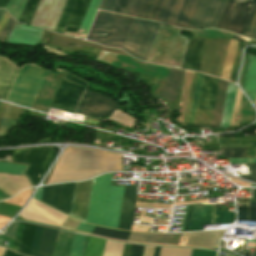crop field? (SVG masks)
I'll return each mask as SVG.
<instances>
[{
	"label": "crop field",
	"mask_w": 256,
	"mask_h": 256,
	"mask_svg": "<svg viewBox=\"0 0 256 256\" xmlns=\"http://www.w3.org/2000/svg\"><path fill=\"white\" fill-rule=\"evenodd\" d=\"M122 171L121 156L66 148L47 184Z\"/></svg>",
	"instance_id": "obj_1"
},
{
	"label": "crop field",
	"mask_w": 256,
	"mask_h": 256,
	"mask_svg": "<svg viewBox=\"0 0 256 256\" xmlns=\"http://www.w3.org/2000/svg\"><path fill=\"white\" fill-rule=\"evenodd\" d=\"M207 39L195 38L189 42L182 64L183 69L199 71ZM230 40H208L200 72L221 76Z\"/></svg>",
	"instance_id": "obj_2"
},
{
	"label": "crop field",
	"mask_w": 256,
	"mask_h": 256,
	"mask_svg": "<svg viewBox=\"0 0 256 256\" xmlns=\"http://www.w3.org/2000/svg\"><path fill=\"white\" fill-rule=\"evenodd\" d=\"M181 29L160 25L146 61L180 68L189 39Z\"/></svg>",
	"instance_id": "obj_3"
},
{
	"label": "crop field",
	"mask_w": 256,
	"mask_h": 256,
	"mask_svg": "<svg viewBox=\"0 0 256 256\" xmlns=\"http://www.w3.org/2000/svg\"><path fill=\"white\" fill-rule=\"evenodd\" d=\"M133 19L98 11L87 40L121 48Z\"/></svg>",
	"instance_id": "obj_4"
},
{
	"label": "crop field",
	"mask_w": 256,
	"mask_h": 256,
	"mask_svg": "<svg viewBox=\"0 0 256 256\" xmlns=\"http://www.w3.org/2000/svg\"><path fill=\"white\" fill-rule=\"evenodd\" d=\"M124 187H111L105 226L117 228ZM137 187H125L119 229L131 230Z\"/></svg>",
	"instance_id": "obj_5"
},
{
	"label": "crop field",
	"mask_w": 256,
	"mask_h": 256,
	"mask_svg": "<svg viewBox=\"0 0 256 256\" xmlns=\"http://www.w3.org/2000/svg\"><path fill=\"white\" fill-rule=\"evenodd\" d=\"M46 72V70L31 65L21 68L7 100L31 107Z\"/></svg>",
	"instance_id": "obj_6"
},
{
	"label": "crop field",
	"mask_w": 256,
	"mask_h": 256,
	"mask_svg": "<svg viewBox=\"0 0 256 256\" xmlns=\"http://www.w3.org/2000/svg\"><path fill=\"white\" fill-rule=\"evenodd\" d=\"M158 26L135 18L122 49L146 60Z\"/></svg>",
	"instance_id": "obj_7"
},
{
	"label": "crop field",
	"mask_w": 256,
	"mask_h": 256,
	"mask_svg": "<svg viewBox=\"0 0 256 256\" xmlns=\"http://www.w3.org/2000/svg\"><path fill=\"white\" fill-rule=\"evenodd\" d=\"M218 82H219L218 79L211 78L204 75L197 108L213 110ZM227 85H228L227 82L220 80L212 122H211V125H206V126L219 127ZM197 125H204V124H197ZM197 125H194V126H197Z\"/></svg>",
	"instance_id": "obj_8"
},
{
	"label": "crop field",
	"mask_w": 256,
	"mask_h": 256,
	"mask_svg": "<svg viewBox=\"0 0 256 256\" xmlns=\"http://www.w3.org/2000/svg\"><path fill=\"white\" fill-rule=\"evenodd\" d=\"M55 156L52 147H35L15 150L12 161L29 163L25 172L35 186Z\"/></svg>",
	"instance_id": "obj_9"
},
{
	"label": "crop field",
	"mask_w": 256,
	"mask_h": 256,
	"mask_svg": "<svg viewBox=\"0 0 256 256\" xmlns=\"http://www.w3.org/2000/svg\"><path fill=\"white\" fill-rule=\"evenodd\" d=\"M112 174L93 179L86 222L104 226Z\"/></svg>",
	"instance_id": "obj_10"
},
{
	"label": "crop field",
	"mask_w": 256,
	"mask_h": 256,
	"mask_svg": "<svg viewBox=\"0 0 256 256\" xmlns=\"http://www.w3.org/2000/svg\"><path fill=\"white\" fill-rule=\"evenodd\" d=\"M198 3L199 0H165L157 21L188 28Z\"/></svg>",
	"instance_id": "obj_11"
},
{
	"label": "crop field",
	"mask_w": 256,
	"mask_h": 256,
	"mask_svg": "<svg viewBox=\"0 0 256 256\" xmlns=\"http://www.w3.org/2000/svg\"><path fill=\"white\" fill-rule=\"evenodd\" d=\"M254 0H228L217 27L241 33Z\"/></svg>",
	"instance_id": "obj_12"
},
{
	"label": "crop field",
	"mask_w": 256,
	"mask_h": 256,
	"mask_svg": "<svg viewBox=\"0 0 256 256\" xmlns=\"http://www.w3.org/2000/svg\"><path fill=\"white\" fill-rule=\"evenodd\" d=\"M74 186L75 183L45 186L40 200L70 215Z\"/></svg>",
	"instance_id": "obj_13"
},
{
	"label": "crop field",
	"mask_w": 256,
	"mask_h": 256,
	"mask_svg": "<svg viewBox=\"0 0 256 256\" xmlns=\"http://www.w3.org/2000/svg\"><path fill=\"white\" fill-rule=\"evenodd\" d=\"M227 0H201L189 28L216 27Z\"/></svg>",
	"instance_id": "obj_14"
},
{
	"label": "crop field",
	"mask_w": 256,
	"mask_h": 256,
	"mask_svg": "<svg viewBox=\"0 0 256 256\" xmlns=\"http://www.w3.org/2000/svg\"><path fill=\"white\" fill-rule=\"evenodd\" d=\"M118 107L120 106L117 102L86 89L79 102L78 109L82 110L84 115L106 116L110 115ZM78 109L76 113L82 114Z\"/></svg>",
	"instance_id": "obj_15"
},
{
	"label": "crop field",
	"mask_w": 256,
	"mask_h": 256,
	"mask_svg": "<svg viewBox=\"0 0 256 256\" xmlns=\"http://www.w3.org/2000/svg\"><path fill=\"white\" fill-rule=\"evenodd\" d=\"M99 2L100 0H91V3H90V0H77L74 6V9L72 11V14L70 16V19L65 28V31L75 32V33L78 32L81 22L83 20V17L90 3L87 13L80 27V30L78 32V33L86 34L91 24V21L94 17V14L96 12V9L99 5Z\"/></svg>",
	"instance_id": "obj_16"
},
{
	"label": "crop field",
	"mask_w": 256,
	"mask_h": 256,
	"mask_svg": "<svg viewBox=\"0 0 256 256\" xmlns=\"http://www.w3.org/2000/svg\"><path fill=\"white\" fill-rule=\"evenodd\" d=\"M20 216L26 220L60 227L67 215L45 206L33 199Z\"/></svg>",
	"instance_id": "obj_17"
},
{
	"label": "crop field",
	"mask_w": 256,
	"mask_h": 256,
	"mask_svg": "<svg viewBox=\"0 0 256 256\" xmlns=\"http://www.w3.org/2000/svg\"><path fill=\"white\" fill-rule=\"evenodd\" d=\"M216 205L196 204L188 231L202 230V224L232 222L234 213L215 211Z\"/></svg>",
	"instance_id": "obj_18"
},
{
	"label": "crop field",
	"mask_w": 256,
	"mask_h": 256,
	"mask_svg": "<svg viewBox=\"0 0 256 256\" xmlns=\"http://www.w3.org/2000/svg\"><path fill=\"white\" fill-rule=\"evenodd\" d=\"M66 0H40L30 24L54 30Z\"/></svg>",
	"instance_id": "obj_19"
},
{
	"label": "crop field",
	"mask_w": 256,
	"mask_h": 256,
	"mask_svg": "<svg viewBox=\"0 0 256 256\" xmlns=\"http://www.w3.org/2000/svg\"><path fill=\"white\" fill-rule=\"evenodd\" d=\"M84 88L62 81L50 107L73 113Z\"/></svg>",
	"instance_id": "obj_20"
},
{
	"label": "crop field",
	"mask_w": 256,
	"mask_h": 256,
	"mask_svg": "<svg viewBox=\"0 0 256 256\" xmlns=\"http://www.w3.org/2000/svg\"><path fill=\"white\" fill-rule=\"evenodd\" d=\"M91 182L92 179L89 181L77 182L75 186L71 215L84 222L86 219Z\"/></svg>",
	"instance_id": "obj_21"
},
{
	"label": "crop field",
	"mask_w": 256,
	"mask_h": 256,
	"mask_svg": "<svg viewBox=\"0 0 256 256\" xmlns=\"http://www.w3.org/2000/svg\"><path fill=\"white\" fill-rule=\"evenodd\" d=\"M43 31L39 28L16 24L6 42L34 45L40 42Z\"/></svg>",
	"instance_id": "obj_22"
},
{
	"label": "crop field",
	"mask_w": 256,
	"mask_h": 256,
	"mask_svg": "<svg viewBox=\"0 0 256 256\" xmlns=\"http://www.w3.org/2000/svg\"><path fill=\"white\" fill-rule=\"evenodd\" d=\"M20 69L8 59L0 56V98L7 99Z\"/></svg>",
	"instance_id": "obj_23"
},
{
	"label": "crop field",
	"mask_w": 256,
	"mask_h": 256,
	"mask_svg": "<svg viewBox=\"0 0 256 256\" xmlns=\"http://www.w3.org/2000/svg\"><path fill=\"white\" fill-rule=\"evenodd\" d=\"M237 87L229 84L220 126H229ZM241 91L237 89L230 126L234 125Z\"/></svg>",
	"instance_id": "obj_24"
},
{
	"label": "crop field",
	"mask_w": 256,
	"mask_h": 256,
	"mask_svg": "<svg viewBox=\"0 0 256 256\" xmlns=\"http://www.w3.org/2000/svg\"><path fill=\"white\" fill-rule=\"evenodd\" d=\"M31 186L24 176L0 173V190L9 196H13L19 190Z\"/></svg>",
	"instance_id": "obj_25"
},
{
	"label": "crop field",
	"mask_w": 256,
	"mask_h": 256,
	"mask_svg": "<svg viewBox=\"0 0 256 256\" xmlns=\"http://www.w3.org/2000/svg\"><path fill=\"white\" fill-rule=\"evenodd\" d=\"M181 233L174 234H148L132 232L129 241L147 242V243H163L178 245Z\"/></svg>",
	"instance_id": "obj_26"
},
{
	"label": "crop field",
	"mask_w": 256,
	"mask_h": 256,
	"mask_svg": "<svg viewBox=\"0 0 256 256\" xmlns=\"http://www.w3.org/2000/svg\"><path fill=\"white\" fill-rule=\"evenodd\" d=\"M184 72L185 71L182 70H170L164 89L160 96L161 98L173 101L175 100Z\"/></svg>",
	"instance_id": "obj_27"
},
{
	"label": "crop field",
	"mask_w": 256,
	"mask_h": 256,
	"mask_svg": "<svg viewBox=\"0 0 256 256\" xmlns=\"http://www.w3.org/2000/svg\"><path fill=\"white\" fill-rule=\"evenodd\" d=\"M58 230L44 227L37 256H52Z\"/></svg>",
	"instance_id": "obj_28"
},
{
	"label": "crop field",
	"mask_w": 256,
	"mask_h": 256,
	"mask_svg": "<svg viewBox=\"0 0 256 256\" xmlns=\"http://www.w3.org/2000/svg\"><path fill=\"white\" fill-rule=\"evenodd\" d=\"M250 60L249 69L243 89L255 104L256 100V56L247 54Z\"/></svg>",
	"instance_id": "obj_29"
},
{
	"label": "crop field",
	"mask_w": 256,
	"mask_h": 256,
	"mask_svg": "<svg viewBox=\"0 0 256 256\" xmlns=\"http://www.w3.org/2000/svg\"><path fill=\"white\" fill-rule=\"evenodd\" d=\"M164 0H143L136 17L155 21Z\"/></svg>",
	"instance_id": "obj_30"
},
{
	"label": "crop field",
	"mask_w": 256,
	"mask_h": 256,
	"mask_svg": "<svg viewBox=\"0 0 256 256\" xmlns=\"http://www.w3.org/2000/svg\"><path fill=\"white\" fill-rule=\"evenodd\" d=\"M74 233L59 230L53 256H69Z\"/></svg>",
	"instance_id": "obj_31"
},
{
	"label": "crop field",
	"mask_w": 256,
	"mask_h": 256,
	"mask_svg": "<svg viewBox=\"0 0 256 256\" xmlns=\"http://www.w3.org/2000/svg\"><path fill=\"white\" fill-rule=\"evenodd\" d=\"M58 39L60 41H58ZM73 43V44H80V45H87V46H93L96 48H100V49H104L106 51H110V52H114V53H122V54H126L125 52L121 51V50H116V49H110V48H105L96 44H93L91 42H87V41H83V40H78V39H74V38H70V37H64V36H59L57 34H55L54 39H53V45H57V46H62V47H72L70 45H66L67 43Z\"/></svg>",
	"instance_id": "obj_32"
},
{
	"label": "crop field",
	"mask_w": 256,
	"mask_h": 256,
	"mask_svg": "<svg viewBox=\"0 0 256 256\" xmlns=\"http://www.w3.org/2000/svg\"><path fill=\"white\" fill-rule=\"evenodd\" d=\"M35 225L25 223L18 252L27 254L29 253L30 244L33 236Z\"/></svg>",
	"instance_id": "obj_33"
},
{
	"label": "crop field",
	"mask_w": 256,
	"mask_h": 256,
	"mask_svg": "<svg viewBox=\"0 0 256 256\" xmlns=\"http://www.w3.org/2000/svg\"><path fill=\"white\" fill-rule=\"evenodd\" d=\"M105 241L89 237L84 256H102Z\"/></svg>",
	"instance_id": "obj_34"
},
{
	"label": "crop field",
	"mask_w": 256,
	"mask_h": 256,
	"mask_svg": "<svg viewBox=\"0 0 256 256\" xmlns=\"http://www.w3.org/2000/svg\"><path fill=\"white\" fill-rule=\"evenodd\" d=\"M241 34L256 38V0Z\"/></svg>",
	"instance_id": "obj_35"
},
{
	"label": "crop field",
	"mask_w": 256,
	"mask_h": 256,
	"mask_svg": "<svg viewBox=\"0 0 256 256\" xmlns=\"http://www.w3.org/2000/svg\"><path fill=\"white\" fill-rule=\"evenodd\" d=\"M76 0H67L54 32L63 33Z\"/></svg>",
	"instance_id": "obj_36"
},
{
	"label": "crop field",
	"mask_w": 256,
	"mask_h": 256,
	"mask_svg": "<svg viewBox=\"0 0 256 256\" xmlns=\"http://www.w3.org/2000/svg\"><path fill=\"white\" fill-rule=\"evenodd\" d=\"M92 233L97 234V235L106 236V237H112V238L126 240L130 232L118 231V230L95 226Z\"/></svg>",
	"instance_id": "obj_37"
},
{
	"label": "crop field",
	"mask_w": 256,
	"mask_h": 256,
	"mask_svg": "<svg viewBox=\"0 0 256 256\" xmlns=\"http://www.w3.org/2000/svg\"><path fill=\"white\" fill-rule=\"evenodd\" d=\"M87 236L74 235L70 256H82Z\"/></svg>",
	"instance_id": "obj_38"
},
{
	"label": "crop field",
	"mask_w": 256,
	"mask_h": 256,
	"mask_svg": "<svg viewBox=\"0 0 256 256\" xmlns=\"http://www.w3.org/2000/svg\"><path fill=\"white\" fill-rule=\"evenodd\" d=\"M27 0H11L9 4L6 6V9L11 13V15L19 20L23 8L26 4ZM18 22V21H17Z\"/></svg>",
	"instance_id": "obj_39"
},
{
	"label": "crop field",
	"mask_w": 256,
	"mask_h": 256,
	"mask_svg": "<svg viewBox=\"0 0 256 256\" xmlns=\"http://www.w3.org/2000/svg\"><path fill=\"white\" fill-rule=\"evenodd\" d=\"M192 249L161 247L159 256H190Z\"/></svg>",
	"instance_id": "obj_40"
},
{
	"label": "crop field",
	"mask_w": 256,
	"mask_h": 256,
	"mask_svg": "<svg viewBox=\"0 0 256 256\" xmlns=\"http://www.w3.org/2000/svg\"><path fill=\"white\" fill-rule=\"evenodd\" d=\"M38 2H39V0H28L27 1V4L24 8L22 16L19 20L20 22H24V23H28V24L30 23Z\"/></svg>",
	"instance_id": "obj_41"
},
{
	"label": "crop field",
	"mask_w": 256,
	"mask_h": 256,
	"mask_svg": "<svg viewBox=\"0 0 256 256\" xmlns=\"http://www.w3.org/2000/svg\"><path fill=\"white\" fill-rule=\"evenodd\" d=\"M123 245L122 243L107 241L103 256H121Z\"/></svg>",
	"instance_id": "obj_42"
},
{
	"label": "crop field",
	"mask_w": 256,
	"mask_h": 256,
	"mask_svg": "<svg viewBox=\"0 0 256 256\" xmlns=\"http://www.w3.org/2000/svg\"><path fill=\"white\" fill-rule=\"evenodd\" d=\"M26 165L0 163V172L22 174Z\"/></svg>",
	"instance_id": "obj_43"
},
{
	"label": "crop field",
	"mask_w": 256,
	"mask_h": 256,
	"mask_svg": "<svg viewBox=\"0 0 256 256\" xmlns=\"http://www.w3.org/2000/svg\"><path fill=\"white\" fill-rule=\"evenodd\" d=\"M202 77H203V75H201V74L197 75V81H196V87H195V93H194V99H193V105H192V111H191V117H190V123H189L190 126H192V124H193V119H194V115H195V110H196L197 100H198L200 86H201V82H202Z\"/></svg>",
	"instance_id": "obj_44"
},
{
	"label": "crop field",
	"mask_w": 256,
	"mask_h": 256,
	"mask_svg": "<svg viewBox=\"0 0 256 256\" xmlns=\"http://www.w3.org/2000/svg\"><path fill=\"white\" fill-rule=\"evenodd\" d=\"M11 106H5L2 118L0 120V137L7 134L8 120L11 112Z\"/></svg>",
	"instance_id": "obj_45"
},
{
	"label": "crop field",
	"mask_w": 256,
	"mask_h": 256,
	"mask_svg": "<svg viewBox=\"0 0 256 256\" xmlns=\"http://www.w3.org/2000/svg\"><path fill=\"white\" fill-rule=\"evenodd\" d=\"M42 228L43 227L37 226V225L35 227L34 236H33L31 249H30V253H29L30 256H36V252H37V248H38Z\"/></svg>",
	"instance_id": "obj_46"
},
{
	"label": "crop field",
	"mask_w": 256,
	"mask_h": 256,
	"mask_svg": "<svg viewBox=\"0 0 256 256\" xmlns=\"http://www.w3.org/2000/svg\"><path fill=\"white\" fill-rule=\"evenodd\" d=\"M242 46H243V44L238 43V47H237V51H236V55H235V59H234L230 79H229L230 81L235 82L236 74H237V70H238V66H239V62H240V57H241V47Z\"/></svg>",
	"instance_id": "obj_47"
},
{
	"label": "crop field",
	"mask_w": 256,
	"mask_h": 256,
	"mask_svg": "<svg viewBox=\"0 0 256 256\" xmlns=\"http://www.w3.org/2000/svg\"><path fill=\"white\" fill-rule=\"evenodd\" d=\"M224 157H244L245 148H221Z\"/></svg>",
	"instance_id": "obj_48"
},
{
	"label": "crop field",
	"mask_w": 256,
	"mask_h": 256,
	"mask_svg": "<svg viewBox=\"0 0 256 256\" xmlns=\"http://www.w3.org/2000/svg\"><path fill=\"white\" fill-rule=\"evenodd\" d=\"M142 0H130L124 14L136 16Z\"/></svg>",
	"instance_id": "obj_49"
},
{
	"label": "crop field",
	"mask_w": 256,
	"mask_h": 256,
	"mask_svg": "<svg viewBox=\"0 0 256 256\" xmlns=\"http://www.w3.org/2000/svg\"><path fill=\"white\" fill-rule=\"evenodd\" d=\"M15 21L13 20V18L10 16L9 20L7 21V23L5 24L4 28L2 29V31L0 32V41H5L6 37L8 36V34L10 33L11 29L13 28V26L15 25Z\"/></svg>",
	"instance_id": "obj_50"
},
{
	"label": "crop field",
	"mask_w": 256,
	"mask_h": 256,
	"mask_svg": "<svg viewBox=\"0 0 256 256\" xmlns=\"http://www.w3.org/2000/svg\"><path fill=\"white\" fill-rule=\"evenodd\" d=\"M237 220L256 221V212L238 211Z\"/></svg>",
	"instance_id": "obj_51"
},
{
	"label": "crop field",
	"mask_w": 256,
	"mask_h": 256,
	"mask_svg": "<svg viewBox=\"0 0 256 256\" xmlns=\"http://www.w3.org/2000/svg\"><path fill=\"white\" fill-rule=\"evenodd\" d=\"M115 54L110 52L101 51L97 57V60L111 64Z\"/></svg>",
	"instance_id": "obj_52"
},
{
	"label": "crop field",
	"mask_w": 256,
	"mask_h": 256,
	"mask_svg": "<svg viewBox=\"0 0 256 256\" xmlns=\"http://www.w3.org/2000/svg\"><path fill=\"white\" fill-rule=\"evenodd\" d=\"M117 0H102V3L99 9L106 10L112 12Z\"/></svg>",
	"instance_id": "obj_53"
},
{
	"label": "crop field",
	"mask_w": 256,
	"mask_h": 256,
	"mask_svg": "<svg viewBox=\"0 0 256 256\" xmlns=\"http://www.w3.org/2000/svg\"><path fill=\"white\" fill-rule=\"evenodd\" d=\"M20 222H14L12 225H10L7 229V231L1 235L10 237V238H14L15 239V235H16V230L18 228Z\"/></svg>",
	"instance_id": "obj_54"
},
{
	"label": "crop field",
	"mask_w": 256,
	"mask_h": 256,
	"mask_svg": "<svg viewBox=\"0 0 256 256\" xmlns=\"http://www.w3.org/2000/svg\"><path fill=\"white\" fill-rule=\"evenodd\" d=\"M215 251L193 249L191 256H216Z\"/></svg>",
	"instance_id": "obj_55"
},
{
	"label": "crop field",
	"mask_w": 256,
	"mask_h": 256,
	"mask_svg": "<svg viewBox=\"0 0 256 256\" xmlns=\"http://www.w3.org/2000/svg\"><path fill=\"white\" fill-rule=\"evenodd\" d=\"M129 0H118L113 12L123 14Z\"/></svg>",
	"instance_id": "obj_56"
},
{
	"label": "crop field",
	"mask_w": 256,
	"mask_h": 256,
	"mask_svg": "<svg viewBox=\"0 0 256 256\" xmlns=\"http://www.w3.org/2000/svg\"><path fill=\"white\" fill-rule=\"evenodd\" d=\"M63 79H65L66 81H69V82L77 83V84L82 85V86H86L85 81L81 80L80 78H78V77H76L72 74H68Z\"/></svg>",
	"instance_id": "obj_57"
},
{
	"label": "crop field",
	"mask_w": 256,
	"mask_h": 256,
	"mask_svg": "<svg viewBox=\"0 0 256 256\" xmlns=\"http://www.w3.org/2000/svg\"><path fill=\"white\" fill-rule=\"evenodd\" d=\"M23 225L24 223H20L19 228L17 230V236H16V240L13 241V246L12 249L16 250L18 249V245H19V241H20V237H21V233H22V229H23Z\"/></svg>",
	"instance_id": "obj_58"
},
{
	"label": "crop field",
	"mask_w": 256,
	"mask_h": 256,
	"mask_svg": "<svg viewBox=\"0 0 256 256\" xmlns=\"http://www.w3.org/2000/svg\"><path fill=\"white\" fill-rule=\"evenodd\" d=\"M144 246H135L132 245L129 256H141Z\"/></svg>",
	"instance_id": "obj_59"
},
{
	"label": "crop field",
	"mask_w": 256,
	"mask_h": 256,
	"mask_svg": "<svg viewBox=\"0 0 256 256\" xmlns=\"http://www.w3.org/2000/svg\"><path fill=\"white\" fill-rule=\"evenodd\" d=\"M94 228L93 225H89L86 223L81 222V224L79 225V227L77 228L78 231H82V232H87V233H91L92 229Z\"/></svg>",
	"instance_id": "obj_60"
},
{
	"label": "crop field",
	"mask_w": 256,
	"mask_h": 256,
	"mask_svg": "<svg viewBox=\"0 0 256 256\" xmlns=\"http://www.w3.org/2000/svg\"><path fill=\"white\" fill-rule=\"evenodd\" d=\"M232 164L254 163L256 159H229Z\"/></svg>",
	"instance_id": "obj_61"
},
{
	"label": "crop field",
	"mask_w": 256,
	"mask_h": 256,
	"mask_svg": "<svg viewBox=\"0 0 256 256\" xmlns=\"http://www.w3.org/2000/svg\"><path fill=\"white\" fill-rule=\"evenodd\" d=\"M193 206L194 205H190L189 206V210H188V214H187V218H186V222H185V226H184V230L183 231H187L188 230V226H189V222H190Z\"/></svg>",
	"instance_id": "obj_62"
},
{
	"label": "crop field",
	"mask_w": 256,
	"mask_h": 256,
	"mask_svg": "<svg viewBox=\"0 0 256 256\" xmlns=\"http://www.w3.org/2000/svg\"><path fill=\"white\" fill-rule=\"evenodd\" d=\"M9 16L10 15L6 12V14L2 18V20L0 21V31H1L2 27L4 26V24L6 23L7 19L9 18Z\"/></svg>",
	"instance_id": "obj_63"
},
{
	"label": "crop field",
	"mask_w": 256,
	"mask_h": 256,
	"mask_svg": "<svg viewBox=\"0 0 256 256\" xmlns=\"http://www.w3.org/2000/svg\"><path fill=\"white\" fill-rule=\"evenodd\" d=\"M130 244H125L122 256H128L130 251Z\"/></svg>",
	"instance_id": "obj_64"
},
{
	"label": "crop field",
	"mask_w": 256,
	"mask_h": 256,
	"mask_svg": "<svg viewBox=\"0 0 256 256\" xmlns=\"http://www.w3.org/2000/svg\"><path fill=\"white\" fill-rule=\"evenodd\" d=\"M249 169H250V173L251 174H256V163L254 164H247Z\"/></svg>",
	"instance_id": "obj_65"
},
{
	"label": "crop field",
	"mask_w": 256,
	"mask_h": 256,
	"mask_svg": "<svg viewBox=\"0 0 256 256\" xmlns=\"http://www.w3.org/2000/svg\"><path fill=\"white\" fill-rule=\"evenodd\" d=\"M238 210H246V211H256V208L254 207H242V206H236Z\"/></svg>",
	"instance_id": "obj_66"
},
{
	"label": "crop field",
	"mask_w": 256,
	"mask_h": 256,
	"mask_svg": "<svg viewBox=\"0 0 256 256\" xmlns=\"http://www.w3.org/2000/svg\"><path fill=\"white\" fill-rule=\"evenodd\" d=\"M241 177H244V178L256 183V175H242Z\"/></svg>",
	"instance_id": "obj_67"
},
{
	"label": "crop field",
	"mask_w": 256,
	"mask_h": 256,
	"mask_svg": "<svg viewBox=\"0 0 256 256\" xmlns=\"http://www.w3.org/2000/svg\"><path fill=\"white\" fill-rule=\"evenodd\" d=\"M4 256H21V255L15 254V253L7 250L6 253L4 254Z\"/></svg>",
	"instance_id": "obj_68"
},
{
	"label": "crop field",
	"mask_w": 256,
	"mask_h": 256,
	"mask_svg": "<svg viewBox=\"0 0 256 256\" xmlns=\"http://www.w3.org/2000/svg\"><path fill=\"white\" fill-rule=\"evenodd\" d=\"M41 190H42V187L38 189V191L36 192L35 194V198L39 199L40 198V194H41Z\"/></svg>",
	"instance_id": "obj_69"
},
{
	"label": "crop field",
	"mask_w": 256,
	"mask_h": 256,
	"mask_svg": "<svg viewBox=\"0 0 256 256\" xmlns=\"http://www.w3.org/2000/svg\"><path fill=\"white\" fill-rule=\"evenodd\" d=\"M9 0H0V8L4 7Z\"/></svg>",
	"instance_id": "obj_70"
},
{
	"label": "crop field",
	"mask_w": 256,
	"mask_h": 256,
	"mask_svg": "<svg viewBox=\"0 0 256 256\" xmlns=\"http://www.w3.org/2000/svg\"><path fill=\"white\" fill-rule=\"evenodd\" d=\"M5 12H6V11H5V10H3V9H2V10H0V20H1V18L3 17V15L5 14Z\"/></svg>",
	"instance_id": "obj_71"
},
{
	"label": "crop field",
	"mask_w": 256,
	"mask_h": 256,
	"mask_svg": "<svg viewBox=\"0 0 256 256\" xmlns=\"http://www.w3.org/2000/svg\"><path fill=\"white\" fill-rule=\"evenodd\" d=\"M159 249H160V247H156V249H155V253H154V256H158Z\"/></svg>",
	"instance_id": "obj_72"
},
{
	"label": "crop field",
	"mask_w": 256,
	"mask_h": 256,
	"mask_svg": "<svg viewBox=\"0 0 256 256\" xmlns=\"http://www.w3.org/2000/svg\"><path fill=\"white\" fill-rule=\"evenodd\" d=\"M253 198H254V200L256 201V189H254Z\"/></svg>",
	"instance_id": "obj_73"
},
{
	"label": "crop field",
	"mask_w": 256,
	"mask_h": 256,
	"mask_svg": "<svg viewBox=\"0 0 256 256\" xmlns=\"http://www.w3.org/2000/svg\"><path fill=\"white\" fill-rule=\"evenodd\" d=\"M249 206H255L256 207V203L255 202H250Z\"/></svg>",
	"instance_id": "obj_74"
},
{
	"label": "crop field",
	"mask_w": 256,
	"mask_h": 256,
	"mask_svg": "<svg viewBox=\"0 0 256 256\" xmlns=\"http://www.w3.org/2000/svg\"><path fill=\"white\" fill-rule=\"evenodd\" d=\"M2 253H3V249H2V248H0V256L2 255Z\"/></svg>",
	"instance_id": "obj_75"
},
{
	"label": "crop field",
	"mask_w": 256,
	"mask_h": 256,
	"mask_svg": "<svg viewBox=\"0 0 256 256\" xmlns=\"http://www.w3.org/2000/svg\"><path fill=\"white\" fill-rule=\"evenodd\" d=\"M253 256H256V250H255V252H254Z\"/></svg>",
	"instance_id": "obj_76"
},
{
	"label": "crop field",
	"mask_w": 256,
	"mask_h": 256,
	"mask_svg": "<svg viewBox=\"0 0 256 256\" xmlns=\"http://www.w3.org/2000/svg\"><path fill=\"white\" fill-rule=\"evenodd\" d=\"M1 198V197H0ZM3 199V198H2ZM1 200V199H0Z\"/></svg>",
	"instance_id": "obj_77"
},
{
	"label": "crop field",
	"mask_w": 256,
	"mask_h": 256,
	"mask_svg": "<svg viewBox=\"0 0 256 256\" xmlns=\"http://www.w3.org/2000/svg\"><path fill=\"white\" fill-rule=\"evenodd\" d=\"M256 105V104H255Z\"/></svg>",
	"instance_id": "obj_78"
}]
</instances>
